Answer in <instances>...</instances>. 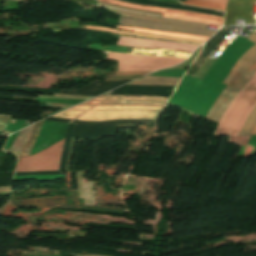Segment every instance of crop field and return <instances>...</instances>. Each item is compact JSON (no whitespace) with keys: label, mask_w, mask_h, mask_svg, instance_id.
<instances>
[{"label":"crop field","mask_w":256,"mask_h":256,"mask_svg":"<svg viewBox=\"0 0 256 256\" xmlns=\"http://www.w3.org/2000/svg\"><path fill=\"white\" fill-rule=\"evenodd\" d=\"M255 106L256 72L229 105L227 111L221 118L215 134L231 136L228 142L235 143L248 115Z\"/></svg>","instance_id":"obj_1"},{"label":"crop field","mask_w":256,"mask_h":256,"mask_svg":"<svg viewBox=\"0 0 256 256\" xmlns=\"http://www.w3.org/2000/svg\"><path fill=\"white\" fill-rule=\"evenodd\" d=\"M109 10L115 14L123 15V16H127V17L141 18V19H147V20L164 22V23L180 24V25H185V26L164 24V23H157V22H149V21H142V20L119 17L120 25L150 28V29L192 34V35H200V36H207V37H211L215 33V31L204 29L206 27V24H202V23L182 21V20H173V19H163V18H156V17H151V16L138 15V14L124 12V11H117V10H111V9H109Z\"/></svg>","instance_id":"obj_2"},{"label":"crop field","mask_w":256,"mask_h":256,"mask_svg":"<svg viewBox=\"0 0 256 256\" xmlns=\"http://www.w3.org/2000/svg\"><path fill=\"white\" fill-rule=\"evenodd\" d=\"M43 121L36 124L21 156L29 155ZM64 140V139H63ZM63 140L31 156L21 157L16 172L58 170Z\"/></svg>","instance_id":"obj_3"},{"label":"crop field","mask_w":256,"mask_h":256,"mask_svg":"<svg viewBox=\"0 0 256 256\" xmlns=\"http://www.w3.org/2000/svg\"><path fill=\"white\" fill-rule=\"evenodd\" d=\"M106 60H118L119 71H154L175 65L184 59L110 54Z\"/></svg>","instance_id":"obj_4"},{"label":"crop field","mask_w":256,"mask_h":256,"mask_svg":"<svg viewBox=\"0 0 256 256\" xmlns=\"http://www.w3.org/2000/svg\"><path fill=\"white\" fill-rule=\"evenodd\" d=\"M248 40L254 42L255 44L241 56V58L235 64L234 68L232 69L228 77L226 76L227 78L223 83H228V84L226 88L223 90V92L221 93V95L218 97V99L216 100L215 104L213 105L212 109L210 110V112L206 117L211 121L215 116L221 103L225 99L226 95L228 94V92L237 86V84L240 82L245 72L248 70L251 64L256 60V34H251Z\"/></svg>","instance_id":"obj_5"},{"label":"crop field","mask_w":256,"mask_h":256,"mask_svg":"<svg viewBox=\"0 0 256 256\" xmlns=\"http://www.w3.org/2000/svg\"><path fill=\"white\" fill-rule=\"evenodd\" d=\"M160 112L146 110L87 111L77 117L84 121H106L122 119L157 120Z\"/></svg>","instance_id":"obj_6"},{"label":"crop field","mask_w":256,"mask_h":256,"mask_svg":"<svg viewBox=\"0 0 256 256\" xmlns=\"http://www.w3.org/2000/svg\"><path fill=\"white\" fill-rule=\"evenodd\" d=\"M97 1L112 3V4H117V5H123V6L143 9V10L158 11V12H162L161 16H164V17L184 18V19H189V20H193V21L216 24V25H220V26H222V24H223V18L202 15V14L187 12V11H183V10L163 9V8H159V7L123 2V1H118V0H97Z\"/></svg>","instance_id":"obj_7"},{"label":"crop field","mask_w":256,"mask_h":256,"mask_svg":"<svg viewBox=\"0 0 256 256\" xmlns=\"http://www.w3.org/2000/svg\"><path fill=\"white\" fill-rule=\"evenodd\" d=\"M118 45L134 46V47H147V48H160L170 50H183L192 52L197 45L175 43V42H161L153 40L134 39L130 37L121 36Z\"/></svg>","instance_id":"obj_8"},{"label":"crop field","mask_w":256,"mask_h":256,"mask_svg":"<svg viewBox=\"0 0 256 256\" xmlns=\"http://www.w3.org/2000/svg\"><path fill=\"white\" fill-rule=\"evenodd\" d=\"M236 17H246V24L254 23L252 7L228 6L224 26L235 25Z\"/></svg>","instance_id":"obj_9"},{"label":"crop field","mask_w":256,"mask_h":256,"mask_svg":"<svg viewBox=\"0 0 256 256\" xmlns=\"http://www.w3.org/2000/svg\"><path fill=\"white\" fill-rule=\"evenodd\" d=\"M256 71V61L253 63V65L250 67V69L247 71V73L244 75L241 82L238 84V86L231 92H229L228 96L224 100L223 104L219 108L216 116L213 119V122L219 121L220 117L224 113L225 109L228 107L232 99L236 96V94L245 86L246 82L249 80V78L253 75V73Z\"/></svg>","instance_id":"obj_10"},{"label":"crop field","mask_w":256,"mask_h":256,"mask_svg":"<svg viewBox=\"0 0 256 256\" xmlns=\"http://www.w3.org/2000/svg\"><path fill=\"white\" fill-rule=\"evenodd\" d=\"M116 28L121 29V30H127V31L141 32V33L168 36V37H176V38H183V39H191V40L205 41L208 39L207 37L192 36V35L164 32V31H157V30H149V29H140V28L123 27V26H116Z\"/></svg>","instance_id":"obj_11"},{"label":"crop field","mask_w":256,"mask_h":256,"mask_svg":"<svg viewBox=\"0 0 256 256\" xmlns=\"http://www.w3.org/2000/svg\"><path fill=\"white\" fill-rule=\"evenodd\" d=\"M180 78L153 77L146 76L138 81L132 82V85H174L176 86Z\"/></svg>","instance_id":"obj_12"},{"label":"crop field","mask_w":256,"mask_h":256,"mask_svg":"<svg viewBox=\"0 0 256 256\" xmlns=\"http://www.w3.org/2000/svg\"><path fill=\"white\" fill-rule=\"evenodd\" d=\"M34 126L35 125H31L29 127H26L24 129L20 130L19 134L17 135V137L9 151L10 153L16 154L18 156V160L20 158V155L22 153L24 145H25L30 133L32 132Z\"/></svg>","instance_id":"obj_13"},{"label":"crop field","mask_w":256,"mask_h":256,"mask_svg":"<svg viewBox=\"0 0 256 256\" xmlns=\"http://www.w3.org/2000/svg\"><path fill=\"white\" fill-rule=\"evenodd\" d=\"M83 29H93V30H102V31H112V32H114V33L126 34V35H131V36H141V37H151V38H159V39H168V40H178V41L193 42V43H198V44H202V43H203V42H199V41H191V40H183V39H176V38H168V37H161V36L140 34V33H133V32H122V31H117V30H112V29H107V28H102V27H95V26H83Z\"/></svg>","instance_id":"obj_14"},{"label":"crop field","mask_w":256,"mask_h":256,"mask_svg":"<svg viewBox=\"0 0 256 256\" xmlns=\"http://www.w3.org/2000/svg\"><path fill=\"white\" fill-rule=\"evenodd\" d=\"M166 103L162 102H146V101H105L100 105H148L164 107Z\"/></svg>","instance_id":"obj_15"},{"label":"crop field","mask_w":256,"mask_h":256,"mask_svg":"<svg viewBox=\"0 0 256 256\" xmlns=\"http://www.w3.org/2000/svg\"><path fill=\"white\" fill-rule=\"evenodd\" d=\"M182 4L200 6V7L212 8V9H219V10H224V11L226 8V5H224V4L202 1V0H187V1L183 2Z\"/></svg>","instance_id":"obj_16"},{"label":"crop field","mask_w":256,"mask_h":256,"mask_svg":"<svg viewBox=\"0 0 256 256\" xmlns=\"http://www.w3.org/2000/svg\"><path fill=\"white\" fill-rule=\"evenodd\" d=\"M107 100H149L166 102L168 98L150 96H110Z\"/></svg>","instance_id":"obj_17"},{"label":"crop field","mask_w":256,"mask_h":256,"mask_svg":"<svg viewBox=\"0 0 256 256\" xmlns=\"http://www.w3.org/2000/svg\"><path fill=\"white\" fill-rule=\"evenodd\" d=\"M109 109H147L162 111L160 107H147V106H96L91 110H109Z\"/></svg>","instance_id":"obj_18"},{"label":"crop field","mask_w":256,"mask_h":256,"mask_svg":"<svg viewBox=\"0 0 256 256\" xmlns=\"http://www.w3.org/2000/svg\"><path fill=\"white\" fill-rule=\"evenodd\" d=\"M255 123H256V108L253 110V112L248 117V119H247L241 133L239 134V136L250 134L253 126L255 125Z\"/></svg>","instance_id":"obj_19"},{"label":"crop field","mask_w":256,"mask_h":256,"mask_svg":"<svg viewBox=\"0 0 256 256\" xmlns=\"http://www.w3.org/2000/svg\"><path fill=\"white\" fill-rule=\"evenodd\" d=\"M83 112H85V111L67 109V110L60 112L58 114H55L53 116L74 119L75 117H77L79 114H81Z\"/></svg>","instance_id":"obj_20"},{"label":"crop field","mask_w":256,"mask_h":256,"mask_svg":"<svg viewBox=\"0 0 256 256\" xmlns=\"http://www.w3.org/2000/svg\"><path fill=\"white\" fill-rule=\"evenodd\" d=\"M99 6H105V7H110V8H115V9H120V10H126V11H131V12H136V13H142V14H148V15H156L160 16L161 14L159 13H153V12H147V11H141V10H135V9H129V8H123L111 4H106V3H100L98 2Z\"/></svg>","instance_id":"obj_21"},{"label":"crop field","mask_w":256,"mask_h":256,"mask_svg":"<svg viewBox=\"0 0 256 256\" xmlns=\"http://www.w3.org/2000/svg\"><path fill=\"white\" fill-rule=\"evenodd\" d=\"M140 76H142V75H138V76H112V77L106 79L105 81L136 79Z\"/></svg>","instance_id":"obj_22"},{"label":"crop field","mask_w":256,"mask_h":256,"mask_svg":"<svg viewBox=\"0 0 256 256\" xmlns=\"http://www.w3.org/2000/svg\"><path fill=\"white\" fill-rule=\"evenodd\" d=\"M149 72H115V75H138V74H147Z\"/></svg>","instance_id":"obj_23"},{"label":"crop field","mask_w":256,"mask_h":256,"mask_svg":"<svg viewBox=\"0 0 256 256\" xmlns=\"http://www.w3.org/2000/svg\"><path fill=\"white\" fill-rule=\"evenodd\" d=\"M243 0H229L228 5L242 6Z\"/></svg>","instance_id":"obj_24"},{"label":"crop field","mask_w":256,"mask_h":256,"mask_svg":"<svg viewBox=\"0 0 256 256\" xmlns=\"http://www.w3.org/2000/svg\"><path fill=\"white\" fill-rule=\"evenodd\" d=\"M94 106H82V105H77L75 107H73L72 109H81V110H88L90 108H92Z\"/></svg>","instance_id":"obj_25"},{"label":"crop field","mask_w":256,"mask_h":256,"mask_svg":"<svg viewBox=\"0 0 256 256\" xmlns=\"http://www.w3.org/2000/svg\"><path fill=\"white\" fill-rule=\"evenodd\" d=\"M256 0H244L243 6H253V4L255 3Z\"/></svg>","instance_id":"obj_26"},{"label":"crop field","mask_w":256,"mask_h":256,"mask_svg":"<svg viewBox=\"0 0 256 256\" xmlns=\"http://www.w3.org/2000/svg\"><path fill=\"white\" fill-rule=\"evenodd\" d=\"M11 192V186L0 187V193Z\"/></svg>","instance_id":"obj_27"},{"label":"crop field","mask_w":256,"mask_h":256,"mask_svg":"<svg viewBox=\"0 0 256 256\" xmlns=\"http://www.w3.org/2000/svg\"><path fill=\"white\" fill-rule=\"evenodd\" d=\"M101 101H87L85 103H82L83 105H97L99 104Z\"/></svg>","instance_id":"obj_28"},{"label":"crop field","mask_w":256,"mask_h":256,"mask_svg":"<svg viewBox=\"0 0 256 256\" xmlns=\"http://www.w3.org/2000/svg\"><path fill=\"white\" fill-rule=\"evenodd\" d=\"M108 96H100V97H98V98H96V99H93V100H104V99H106Z\"/></svg>","instance_id":"obj_29"},{"label":"crop field","mask_w":256,"mask_h":256,"mask_svg":"<svg viewBox=\"0 0 256 256\" xmlns=\"http://www.w3.org/2000/svg\"><path fill=\"white\" fill-rule=\"evenodd\" d=\"M211 1H218V2H224L227 3L228 0H211Z\"/></svg>","instance_id":"obj_30"},{"label":"crop field","mask_w":256,"mask_h":256,"mask_svg":"<svg viewBox=\"0 0 256 256\" xmlns=\"http://www.w3.org/2000/svg\"><path fill=\"white\" fill-rule=\"evenodd\" d=\"M251 134H256V125L254 126V128H253Z\"/></svg>","instance_id":"obj_31"}]
</instances>
